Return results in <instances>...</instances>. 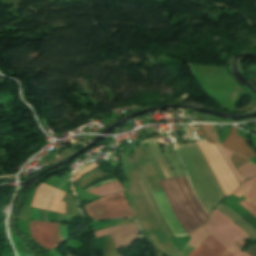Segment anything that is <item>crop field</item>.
<instances>
[{"mask_svg":"<svg viewBox=\"0 0 256 256\" xmlns=\"http://www.w3.org/2000/svg\"><path fill=\"white\" fill-rule=\"evenodd\" d=\"M220 205L229 212H231L233 215H235L246 226V228L234 218L235 216L233 217L220 206L216 208L224 212L236 224H238L250 236L251 239H256V230H254L246 221H244L240 216H238L226 205L222 203ZM236 224H234L229 218H227L225 215L215 209L211 214V219L208 221L207 224L203 225V227L210 235L216 238L219 242H221L237 256H249L245 252L241 253L239 247L235 243L237 242L242 248V246H244L246 242L242 241L241 239H249L248 235ZM210 235L205 241L202 242V244L197 249L192 251L187 256H236Z\"/></svg>","mask_w":256,"mask_h":256,"instance_id":"obj_1","label":"crop field"},{"mask_svg":"<svg viewBox=\"0 0 256 256\" xmlns=\"http://www.w3.org/2000/svg\"><path fill=\"white\" fill-rule=\"evenodd\" d=\"M84 207L90 217L97 220L113 217H128L133 215L123 193L104 197Z\"/></svg>","mask_w":256,"mask_h":256,"instance_id":"obj_2","label":"crop field"},{"mask_svg":"<svg viewBox=\"0 0 256 256\" xmlns=\"http://www.w3.org/2000/svg\"><path fill=\"white\" fill-rule=\"evenodd\" d=\"M30 234L36 242L48 250L64 242L57 223L30 222Z\"/></svg>","mask_w":256,"mask_h":256,"instance_id":"obj_3","label":"crop field"},{"mask_svg":"<svg viewBox=\"0 0 256 256\" xmlns=\"http://www.w3.org/2000/svg\"><path fill=\"white\" fill-rule=\"evenodd\" d=\"M114 233H118L116 235L111 236L116 247L117 248L126 247V246H129L130 243L133 241V239L136 237L137 228L134 225V223H131V224L109 227L104 230L95 232L94 234H95V237L97 238L103 235L114 234Z\"/></svg>","mask_w":256,"mask_h":256,"instance_id":"obj_4","label":"crop field"},{"mask_svg":"<svg viewBox=\"0 0 256 256\" xmlns=\"http://www.w3.org/2000/svg\"><path fill=\"white\" fill-rule=\"evenodd\" d=\"M159 207L160 210L165 218V220L167 221L168 225L170 226V228L172 229L173 233L175 234V236H182V235H187L185 230L179 225L165 195L164 192L161 193H156L153 194Z\"/></svg>","mask_w":256,"mask_h":256,"instance_id":"obj_5","label":"crop field"},{"mask_svg":"<svg viewBox=\"0 0 256 256\" xmlns=\"http://www.w3.org/2000/svg\"><path fill=\"white\" fill-rule=\"evenodd\" d=\"M236 131L237 128L232 126L228 138L222 144L223 147L239 153L249 159L256 156L253 150L246 145V140L236 135Z\"/></svg>","mask_w":256,"mask_h":256,"instance_id":"obj_6","label":"crop field"},{"mask_svg":"<svg viewBox=\"0 0 256 256\" xmlns=\"http://www.w3.org/2000/svg\"><path fill=\"white\" fill-rule=\"evenodd\" d=\"M55 191L56 189L42 183L34 195L31 206L46 210L49 200Z\"/></svg>","mask_w":256,"mask_h":256,"instance_id":"obj_7","label":"crop field"},{"mask_svg":"<svg viewBox=\"0 0 256 256\" xmlns=\"http://www.w3.org/2000/svg\"><path fill=\"white\" fill-rule=\"evenodd\" d=\"M121 191H124L123 188L118 184L117 181H115V182L97 187L95 189H92L88 192H91L96 195L104 196V195H109V194H113Z\"/></svg>","mask_w":256,"mask_h":256,"instance_id":"obj_8","label":"crop field"},{"mask_svg":"<svg viewBox=\"0 0 256 256\" xmlns=\"http://www.w3.org/2000/svg\"><path fill=\"white\" fill-rule=\"evenodd\" d=\"M255 182L256 177L242 183V185L232 194H234L237 197H241L242 195H244L245 198L249 197L251 194L256 192V184L253 186ZM252 186L253 188L250 189Z\"/></svg>","mask_w":256,"mask_h":256,"instance_id":"obj_9","label":"crop field"},{"mask_svg":"<svg viewBox=\"0 0 256 256\" xmlns=\"http://www.w3.org/2000/svg\"><path fill=\"white\" fill-rule=\"evenodd\" d=\"M64 194H65L64 192L57 191V193L52 199L51 205L48 210L59 212V213H65V203L60 202Z\"/></svg>","mask_w":256,"mask_h":256,"instance_id":"obj_10","label":"crop field"},{"mask_svg":"<svg viewBox=\"0 0 256 256\" xmlns=\"http://www.w3.org/2000/svg\"><path fill=\"white\" fill-rule=\"evenodd\" d=\"M106 176H110V175L103 173L100 171V169H98V170L92 172L91 174L80 179L78 182V185L83 188V187L89 185L90 183L98 180L99 178L106 177ZM91 178H93V179H91Z\"/></svg>","mask_w":256,"mask_h":256,"instance_id":"obj_11","label":"crop field"},{"mask_svg":"<svg viewBox=\"0 0 256 256\" xmlns=\"http://www.w3.org/2000/svg\"><path fill=\"white\" fill-rule=\"evenodd\" d=\"M220 151V153L222 154V156L224 157L227 165L229 166L230 170L232 171V173L234 174L235 178L237 179V181L241 184L243 181H245L236 171V169L234 168V166L232 165L231 161H230V157L233 154V152H230L228 150L222 149L220 147H217ZM222 157V158H223Z\"/></svg>","mask_w":256,"mask_h":256,"instance_id":"obj_12","label":"crop field"},{"mask_svg":"<svg viewBox=\"0 0 256 256\" xmlns=\"http://www.w3.org/2000/svg\"><path fill=\"white\" fill-rule=\"evenodd\" d=\"M192 239L187 244L192 247H197L198 244L207 237V232L201 227L189 235Z\"/></svg>","mask_w":256,"mask_h":256,"instance_id":"obj_13","label":"crop field"},{"mask_svg":"<svg viewBox=\"0 0 256 256\" xmlns=\"http://www.w3.org/2000/svg\"><path fill=\"white\" fill-rule=\"evenodd\" d=\"M248 162L237 168L245 180L256 176V165L253 166Z\"/></svg>","mask_w":256,"mask_h":256,"instance_id":"obj_14","label":"crop field"},{"mask_svg":"<svg viewBox=\"0 0 256 256\" xmlns=\"http://www.w3.org/2000/svg\"><path fill=\"white\" fill-rule=\"evenodd\" d=\"M231 160L235 164L236 168L245 163L246 161H248L235 153L231 157Z\"/></svg>","mask_w":256,"mask_h":256,"instance_id":"obj_15","label":"crop field"},{"mask_svg":"<svg viewBox=\"0 0 256 256\" xmlns=\"http://www.w3.org/2000/svg\"><path fill=\"white\" fill-rule=\"evenodd\" d=\"M98 166L96 165V163L90 165L89 167H87L86 169L82 170L81 172H79L76 177L74 178V181L78 180L82 175H84L85 172L90 171L92 169L97 168Z\"/></svg>","mask_w":256,"mask_h":256,"instance_id":"obj_16","label":"crop field"},{"mask_svg":"<svg viewBox=\"0 0 256 256\" xmlns=\"http://www.w3.org/2000/svg\"><path fill=\"white\" fill-rule=\"evenodd\" d=\"M198 127H199L200 131L202 132L203 136L205 137L206 141L213 142L211 140V138L208 136L203 124H199Z\"/></svg>","mask_w":256,"mask_h":256,"instance_id":"obj_17","label":"crop field"},{"mask_svg":"<svg viewBox=\"0 0 256 256\" xmlns=\"http://www.w3.org/2000/svg\"><path fill=\"white\" fill-rule=\"evenodd\" d=\"M239 204H241L242 206H244L248 211H250L255 217H256V210L254 208H252L251 206H249L246 202L242 201Z\"/></svg>","mask_w":256,"mask_h":256,"instance_id":"obj_18","label":"crop field"},{"mask_svg":"<svg viewBox=\"0 0 256 256\" xmlns=\"http://www.w3.org/2000/svg\"><path fill=\"white\" fill-rule=\"evenodd\" d=\"M256 197V193H254L253 195H251L249 198H247L246 199V201L251 205V206H253L255 209H256V207L253 205V204H251L249 201H251L252 199H254Z\"/></svg>","mask_w":256,"mask_h":256,"instance_id":"obj_19","label":"crop field"},{"mask_svg":"<svg viewBox=\"0 0 256 256\" xmlns=\"http://www.w3.org/2000/svg\"><path fill=\"white\" fill-rule=\"evenodd\" d=\"M243 126H246V127H248V128H250V129H253V128H251V127H249V126H247V125H245V124H242ZM254 130V129H253ZM256 131V130H255Z\"/></svg>","mask_w":256,"mask_h":256,"instance_id":"obj_20","label":"crop field"},{"mask_svg":"<svg viewBox=\"0 0 256 256\" xmlns=\"http://www.w3.org/2000/svg\"><path fill=\"white\" fill-rule=\"evenodd\" d=\"M252 203H254L255 205H256V198L253 200V201H251Z\"/></svg>","mask_w":256,"mask_h":256,"instance_id":"obj_21","label":"crop field"},{"mask_svg":"<svg viewBox=\"0 0 256 256\" xmlns=\"http://www.w3.org/2000/svg\"><path fill=\"white\" fill-rule=\"evenodd\" d=\"M256 124V123H255ZM256 127V126H255Z\"/></svg>","mask_w":256,"mask_h":256,"instance_id":"obj_22","label":"crop field"}]
</instances>
